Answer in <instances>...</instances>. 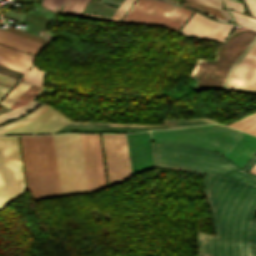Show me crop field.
<instances>
[{"label": "crop field", "mask_w": 256, "mask_h": 256, "mask_svg": "<svg viewBox=\"0 0 256 256\" xmlns=\"http://www.w3.org/2000/svg\"><path fill=\"white\" fill-rule=\"evenodd\" d=\"M132 175L153 168L148 132L126 135Z\"/></svg>", "instance_id": "obj_12"}, {"label": "crop field", "mask_w": 256, "mask_h": 256, "mask_svg": "<svg viewBox=\"0 0 256 256\" xmlns=\"http://www.w3.org/2000/svg\"><path fill=\"white\" fill-rule=\"evenodd\" d=\"M223 1L225 3L226 7L242 12V10H243L242 4L233 2L231 0H223Z\"/></svg>", "instance_id": "obj_30"}, {"label": "crop field", "mask_w": 256, "mask_h": 256, "mask_svg": "<svg viewBox=\"0 0 256 256\" xmlns=\"http://www.w3.org/2000/svg\"><path fill=\"white\" fill-rule=\"evenodd\" d=\"M155 167L206 174L204 195L215 235L198 232L197 256H256V176L203 147L153 142Z\"/></svg>", "instance_id": "obj_1"}, {"label": "crop field", "mask_w": 256, "mask_h": 256, "mask_svg": "<svg viewBox=\"0 0 256 256\" xmlns=\"http://www.w3.org/2000/svg\"><path fill=\"white\" fill-rule=\"evenodd\" d=\"M39 105L40 103L30 100L27 104L0 115V123L25 115L34 110Z\"/></svg>", "instance_id": "obj_21"}, {"label": "crop field", "mask_w": 256, "mask_h": 256, "mask_svg": "<svg viewBox=\"0 0 256 256\" xmlns=\"http://www.w3.org/2000/svg\"><path fill=\"white\" fill-rule=\"evenodd\" d=\"M252 16L256 17V0H245Z\"/></svg>", "instance_id": "obj_31"}, {"label": "crop field", "mask_w": 256, "mask_h": 256, "mask_svg": "<svg viewBox=\"0 0 256 256\" xmlns=\"http://www.w3.org/2000/svg\"><path fill=\"white\" fill-rule=\"evenodd\" d=\"M244 132L220 124L151 131L152 141H179L204 146L226 155Z\"/></svg>", "instance_id": "obj_4"}, {"label": "crop field", "mask_w": 256, "mask_h": 256, "mask_svg": "<svg viewBox=\"0 0 256 256\" xmlns=\"http://www.w3.org/2000/svg\"><path fill=\"white\" fill-rule=\"evenodd\" d=\"M193 11L156 0H138L121 22L155 24L178 31Z\"/></svg>", "instance_id": "obj_6"}, {"label": "crop field", "mask_w": 256, "mask_h": 256, "mask_svg": "<svg viewBox=\"0 0 256 256\" xmlns=\"http://www.w3.org/2000/svg\"><path fill=\"white\" fill-rule=\"evenodd\" d=\"M29 86V84L19 82L17 86L1 101V103L10 107Z\"/></svg>", "instance_id": "obj_24"}, {"label": "crop field", "mask_w": 256, "mask_h": 256, "mask_svg": "<svg viewBox=\"0 0 256 256\" xmlns=\"http://www.w3.org/2000/svg\"><path fill=\"white\" fill-rule=\"evenodd\" d=\"M10 90V88L0 85V99Z\"/></svg>", "instance_id": "obj_34"}, {"label": "crop field", "mask_w": 256, "mask_h": 256, "mask_svg": "<svg viewBox=\"0 0 256 256\" xmlns=\"http://www.w3.org/2000/svg\"><path fill=\"white\" fill-rule=\"evenodd\" d=\"M250 172L256 174V164L251 168Z\"/></svg>", "instance_id": "obj_35"}, {"label": "crop field", "mask_w": 256, "mask_h": 256, "mask_svg": "<svg viewBox=\"0 0 256 256\" xmlns=\"http://www.w3.org/2000/svg\"><path fill=\"white\" fill-rule=\"evenodd\" d=\"M6 31H9V32H12V33L21 35V36H24V37H26V38H29V39H32V40H35V41H38V42H41V43H44V44L47 43L46 41H44L43 39H41L39 36H36V35L30 34V33L24 32V31H22V30H19V29L10 27V26H8V28L6 29Z\"/></svg>", "instance_id": "obj_28"}, {"label": "crop field", "mask_w": 256, "mask_h": 256, "mask_svg": "<svg viewBox=\"0 0 256 256\" xmlns=\"http://www.w3.org/2000/svg\"><path fill=\"white\" fill-rule=\"evenodd\" d=\"M206 123H214V121L209 119L163 120V125H130V124H112V123L101 124V123L71 121L66 126L145 130V129H168V128L184 127V126L199 125V124H206Z\"/></svg>", "instance_id": "obj_13"}, {"label": "crop field", "mask_w": 256, "mask_h": 256, "mask_svg": "<svg viewBox=\"0 0 256 256\" xmlns=\"http://www.w3.org/2000/svg\"><path fill=\"white\" fill-rule=\"evenodd\" d=\"M110 185L131 176L125 135L102 134Z\"/></svg>", "instance_id": "obj_9"}, {"label": "crop field", "mask_w": 256, "mask_h": 256, "mask_svg": "<svg viewBox=\"0 0 256 256\" xmlns=\"http://www.w3.org/2000/svg\"><path fill=\"white\" fill-rule=\"evenodd\" d=\"M255 35L250 31L233 33L220 48L215 62L198 60L191 74V77L199 79L195 90L220 88L230 66Z\"/></svg>", "instance_id": "obj_5"}, {"label": "crop field", "mask_w": 256, "mask_h": 256, "mask_svg": "<svg viewBox=\"0 0 256 256\" xmlns=\"http://www.w3.org/2000/svg\"><path fill=\"white\" fill-rule=\"evenodd\" d=\"M81 16L90 17V18H101V19H106V20L109 19L107 17L98 16V15H92V14H87V13H82Z\"/></svg>", "instance_id": "obj_33"}, {"label": "crop field", "mask_w": 256, "mask_h": 256, "mask_svg": "<svg viewBox=\"0 0 256 256\" xmlns=\"http://www.w3.org/2000/svg\"><path fill=\"white\" fill-rule=\"evenodd\" d=\"M21 140L27 185L34 201L61 195L52 136Z\"/></svg>", "instance_id": "obj_2"}, {"label": "crop field", "mask_w": 256, "mask_h": 256, "mask_svg": "<svg viewBox=\"0 0 256 256\" xmlns=\"http://www.w3.org/2000/svg\"><path fill=\"white\" fill-rule=\"evenodd\" d=\"M16 80L0 75V83L12 87Z\"/></svg>", "instance_id": "obj_32"}, {"label": "crop field", "mask_w": 256, "mask_h": 256, "mask_svg": "<svg viewBox=\"0 0 256 256\" xmlns=\"http://www.w3.org/2000/svg\"><path fill=\"white\" fill-rule=\"evenodd\" d=\"M33 56L0 45V64L9 68L23 71L29 68L33 62Z\"/></svg>", "instance_id": "obj_16"}, {"label": "crop field", "mask_w": 256, "mask_h": 256, "mask_svg": "<svg viewBox=\"0 0 256 256\" xmlns=\"http://www.w3.org/2000/svg\"><path fill=\"white\" fill-rule=\"evenodd\" d=\"M234 22L256 29V20L230 11Z\"/></svg>", "instance_id": "obj_27"}, {"label": "crop field", "mask_w": 256, "mask_h": 256, "mask_svg": "<svg viewBox=\"0 0 256 256\" xmlns=\"http://www.w3.org/2000/svg\"><path fill=\"white\" fill-rule=\"evenodd\" d=\"M233 28L234 26L216 22L195 13L180 33L223 41Z\"/></svg>", "instance_id": "obj_10"}, {"label": "crop field", "mask_w": 256, "mask_h": 256, "mask_svg": "<svg viewBox=\"0 0 256 256\" xmlns=\"http://www.w3.org/2000/svg\"><path fill=\"white\" fill-rule=\"evenodd\" d=\"M0 74L18 80L19 76L21 75V72L0 65Z\"/></svg>", "instance_id": "obj_29"}, {"label": "crop field", "mask_w": 256, "mask_h": 256, "mask_svg": "<svg viewBox=\"0 0 256 256\" xmlns=\"http://www.w3.org/2000/svg\"><path fill=\"white\" fill-rule=\"evenodd\" d=\"M135 1L136 0H124L121 6L119 5L120 7L111 15L110 20L119 21Z\"/></svg>", "instance_id": "obj_26"}, {"label": "crop field", "mask_w": 256, "mask_h": 256, "mask_svg": "<svg viewBox=\"0 0 256 256\" xmlns=\"http://www.w3.org/2000/svg\"><path fill=\"white\" fill-rule=\"evenodd\" d=\"M168 1H172V2H176V3H180V4H184L187 6L197 8V9L202 10L218 19H222V20H226V21H230V19H231V17L227 13V11L220 9L221 2H222L221 0H184L191 4L183 3L178 0H168Z\"/></svg>", "instance_id": "obj_18"}, {"label": "crop field", "mask_w": 256, "mask_h": 256, "mask_svg": "<svg viewBox=\"0 0 256 256\" xmlns=\"http://www.w3.org/2000/svg\"><path fill=\"white\" fill-rule=\"evenodd\" d=\"M62 195L88 191L80 134L53 135Z\"/></svg>", "instance_id": "obj_3"}, {"label": "crop field", "mask_w": 256, "mask_h": 256, "mask_svg": "<svg viewBox=\"0 0 256 256\" xmlns=\"http://www.w3.org/2000/svg\"><path fill=\"white\" fill-rule=\"evenodd\" d=\"M221 88L256 92V38L231 66Z\"/></svg>", "instance_id": "obj_8"}, {"label": "crop field", "mask_w": 256, "mask_h": 256, "mask_svg": "<svg viewBox=\"0 0 256 256\" xmlns=\"http://www.w3.org/2000/svg\"><path fill=\"white\" fill-rule=\"evenodd\" d=\"M81 137L82 138H92L95 161H96V168H97V175H98V181H99V185H97L98 181H97V175H96V168H95V162H94V155H93V148H92L91 139H83L85 154H86V160H87V166H88V172H89V178H90V184H91V187L94 186V185H97L95 187L90 188L87 166H86V160H85L89 191L97 190V189L106 187L98 134H93V135L81 134ZM83 142H82V144H83ZM84 148H83V152H84ZM85 154H84V159H85Z\"/></svg>", "instance_id": "obj_11"}, {"label": "crop field", "mask_w": 256, "mask_h": 256, "mask_svg": "<svg viewBox=\"0 0 256 256\" xmlns=\"http://www.w3.org/2000/svg\"><path fill=\"white\" fill-rule=\"evenodd\" d=\"M69 121L71 120L53 109L36 122L9 134L53 133Z\"/></svg>", "instance_id": "obj_14"}, {"label": "crop field", "mask_w": 256, "mask_h": 256, "mask_svg": "<svg viewBox=\"0 0 256 256\" xmlns=\"http://www.w3.org/2000/svg\"><path fill=\"white\" fill-rule=\"evenodd\" d=\"M51 109H53V108L43 104L39 108L34 110L32 113H30L28 116H26L22 119H19L17 121L11 122L9 124H6L4 126H0V134L9 133L13 130H16V129L21 128L25 125H28V124L36 121L38 118H40L41 116L46 114Z\"/></svg>", "instance_id": "obj_19"}, {"label": "crop field", "mask_w": 256, "mask_h": 256, "mask_svg": "<svg viewBox=\"0 0 256 256\" xmlns=\"http://www.w3.org/2000/svg\"><path fill=\"white\" fill-rule=\"evenodd\" d=\"M228 126L256 135V113L237 120Z\"/></svg>", "instance_id": "obj_22"}, {"label": "crop field", "mask_w": 256, "mask_h": 256, "mask_svg": "<svg viewBox=\"0 0 256 256\" xmlns=\"http://www.w3.org/2000/svg\"><path fill=\"white\" fill-rule=\"evenodd\" d=\"M44 73V71L37 69L35 66H32L31 71H25V75L21 81L41 86Z\"/></svg>", "instance_id": "obj_23"}, {"label": "crop field", "mask_w": 256, "mask_h": 256, "mask_svg": "<svg viewBox=\"0 0 256 256\" xmlns=\"http://www.w3.org/2000/svg\"><path fill=\"white\" fill-rule=\"evenodd\" d=\"M24 192L16 137H0V208Z\"/></svg>", "instance_id": "obj_7"}, {"label": "crop field", "mask_w": 256, "mask_h": 256, "mask_svg": "<svg viewBox=\"0 0 256 256\" xmlns=\"http://www.w3.org/2000/svg\"><path fill=\"white\" fill-rule=\"evenodd\" d=\"M0 43L23 52L37 55L44 44L0 30Z\"/></svg>", "instance_id": "obj_17"}, {"label": "crop field", "mask_w": 256, "mask_h": 256, "mask_svg": "<svg viewBox=\"0 0 256 256\" xmlns=\"http://www.w3.org/2000/svg\"><path fill=\"white\" fill-rule=\"evenodd\" d=\"M40 89V87L31 85L11 107L16 108L27 103Z\"/></svg>", "instance_id": "obj_25"}, {"label": "crop field", "mask_w": 256, "mask_h": 256, "mask_svg": "<svg viewBox=\"0 0 256 256\" xmlns=\"http://www.w3.org/2000/svg\"><path fill=\"white\" fill-rule=\"evenodd\" d=\"M255 150L256 137L245 133L225 157L242 167Z\"/></svg>", "instance_id": "obj_15"}, {"label": "crop field", "mask_w": 256, "mask_h": 256, "mask_svg": "<svg viewBox=\"0 0 256 256\" xmlns=\"http://www.w3.org/2000/svg\"><path fill=\"white\" fill-rule=\"evenodd\" d=\"M61 1L62 0H43L40 5L49 10L55 11ZM65 1L67 0H63L61 6L64 4ZM89 1L90 0H68L61 12L79 15ZM60 7L58 8V10L60 9Z\"/></svg>", "instance_id": "obj_20"}]
</instances>
